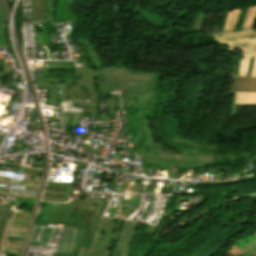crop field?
I'll return each mask as SVG.
<instances>
[{"mask_svg": "<svg viewBox=\"0 0 256 256\" xmlns=\"http://www.w3.org/2000/svg\"><path fill=\"white\" fill-rule=\"evenodd\" d=\"M136 227V223L102 218L96 241L93 246L94 251L92 256H109L110 252L107 251V249L112 240L119 241L114 256H128L129 254H126V252Z\"/></svg>", "mask_w": 256, "mask_h": 256, "instance_id": "8a807250", "label": "crop field"}, {"mask_svg": "<svg viewBox=\"0 0 256 256\" xmlns=\"http://www.w3.org/2000/svg\"><path fill=\"white\" fill-rule=\"evenodd\" d=\"M81 203V205H79ZM106 202L76 200L70 225L86 226L83 245L91 247L100 214Z\"/></svg>", "mask_w": 256, "mask_h": 256, "instance_id": "ac0d7876", "label": "crop field"}, {"mask_svg": "<svg viewBox=\"0 0 256 256\" xmlns=\"http://www.w3.org/2000/svg\"><path fill=\"white\" fill-rule=\"evenodd\" d=\"M220 45H227L229 49L241 50L244 59H241L240 74L245 76L249 57H256V32L214 35Z\"/></svg>", "mask_w": 256, "mask_h": 256, "instance_id": "34b2d1b8", "label": "crop field"}, {"mask_svg": "<svg viewBox=\"0 0 256 256\" xmlns=\"http://www.w3.org/2000/svg\"><path fill=\"white\" fill-rule=\"evenodd\" d=\"M234 77L231 80L230 92L234 94L231 114H235V105L256 106V91L232 90Z\"/></svg>", "mask_w": 256, "mask_h": 256, "instance_id": "412701ff", "label": "crop field"}, {"mask_svg": "<svg viewBox=\"0 0 256 256\" xmlns=\"http://www.w3.org/2000/svg\"><path fill=\"white\" fill-rule=\"evenodd\" d=\"M233 89L256 90V78L235 77Z\"/></svg>", "mask_w": 256, "mask_h": 256, "instance_id": "f4fd0767", "label": "crop field"}, {"mask_svg": "<svg viewBox=\"0 0 256 256\" xmlns=\"http://www.w3.org/2000/svg\"><path fill=\"white\" fill-rule=\"evenodd\" d=\"M43 0H33L31 22H43Z\"/></svg>", "mask_w": 256, "mask_h": 256, "instance_id": "dd49c442", "label": "crop field"}, {"mask_svg": "<svg viewBox=\"0 0 256 256\" xmlns=\"http://www.w3.org/2000/svg\"><path fill=\"white\" fill-rule=\"evenodd\" d=\"M240 10L229 12L223 33L232 32Z\"/></svg>", "mask_w": 256, "mask_h": 256, "instance_id": "e52e79f7", "label": "crop field"}, {"mask_svg": "<svg viewBox=\"0 0 256 256\" xmlns=\"http://www.w3.org/2000/svg\"><path fill=\"white\" fill-rule=\"evenodd\" d=\"M256 17V6L250 7L244 26L241 31L251 30Z\"/></svg>", "mask_w": 256, "mask_h": 256, "instance_id": "d8731c3e", "label": "crop field"}, {"mask_svg": "<svg viewBox=\"0 0 256 256\" xmlns=\"http://www.w3.org/2000/svg\"><path fill=\"white\" fill-rule=\"evenodd\" d=\"M3 14H2L1 7H0V46H7L5 43V40H4V36H3V23L5 22Z\"/></svg>", "mask_w": 256, "mask_h": 256, "instance_id": "5a996713", "label": "crop field"}, {"mask_svg": "<svg viewBox=\"0 0 256 256\" xmlns=\"http://www.w3.org/2000/svg\"><path fill=\"white\" fill-rule=\"evenodd\" d=\"M21 235H23V237H24V235H25V234H21V233H13V232H10V234H9V236H12V237H19V238H23V237H21Z\"/></svg>", "mask_w": 256, "mask_h": 256, "instance_id": "3316defc", "label": "crop field"}, {"mask_svg": "<svg viewBox=\"0 0 256 256\" xmlns=\"http://www.w3.org/2000/svg\"><path fill=\"white\" fill-rule=\"evenodd\" d=\"M255 75H256V59H255L254 65H253V69H252V74H251V76H254V77H255Z\"/></svg>", "mask_w": 256, "mask_h": 256, "instance_id": "28ad6ade", "label": "crop field"}]
</instances>
